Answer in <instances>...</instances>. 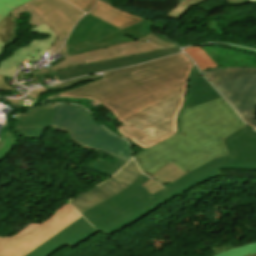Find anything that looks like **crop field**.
<instances>
[{
	"mask_svg": "<svg viewBox=\"0 0 256 256\" xmlns=\"http://www.w3.org/2000/svg\"><path fill=\"white\" fill-rule=\"evenodd\" d=\"M178 134L134 156L138 166L153 176L172 162L189 172L228 155L222 138L245 125L222 98L181 111Z\"/></svg>",
	"mask_w": 256,
	"mask_h": 256,
	"instance_id": "crop-field-1",
	"label": "crop field"
},
{
	"mask_svg": "<svg viewBox=\"0 0 256 256\" xmlns=\"http://www.w3.org/2000/svg\"><path fill=\"white\" fill-rule=\"evenodd\" d=\"M192 63L190 58L180 53L138 66L106 72V76L100 81L48 98H91L102 103L118 118L187 88V75Z\"/></svg>",
	"mask_w": 256,
	"mask_h": 256,
	"instance_id": "crop-field-2",
	"label": "crop field"
},
{
	"mask_svg": "<svg viewBox=\"0 0 256 256\" xmlns=\"http://www.w3.org/2000/svg\"><path fill=\"white\" fill-rule=\"evenodd\" d=\"M149 179L141 173L123 191L81 214L108 236L175 198L164 189L151 195L141 186Z\"/></svg>",
	"mask_w": 256,
	"mask_h": 256,
	"instance_id": "crop-field-3",
	"label": "crop field"
},
{
	"mask_svg": "<svg viewBox=\"0 0 256 256\" xmlns=\"http://www.w3.org/2000/svg\"><path fill=\"white\" fill-rule=\"evenodd\" d=\"M186 92L187 89L118 118L124 124L118 130L145 148L176 134L178 114Z\"/></svg>",
	"mask_w": 256,
	"mask_h": 256,
	"instance_id": "crop-field-4",
	"label": "crop field"
},
{
	"mask_svg": "<svg viewBox=\"0 0 256 256\" xmlns=\"http://www.w3.org/2000/svg\"><path fill=\"white\" fill-rule=\"evenodd\" d=\"M51 127L66 132L82 148L102 151L127 162L132 157L127 141L103 129L83 107L58 104Z\"/></svg>",
	"mask_w": 256,
	"mask_h": 256,
	"instance_id": "crop-field-5",
	"label": "crop field"
},
{
	"mask_svg": "<svg viewBox=\"0 0 256 256\" xmlns=\"http://www.w3.org/2000/svg\"><path fill=\"white\" fill-rule=\"evenodd\" d=\"M222 141L229 156L187 173L164 189L177 197L208 179L220 176L219 169H256V132L245 125Z\"/></svg>",
	"mask_w": 256,
	"mask_h": 256,
	"instance_id": "crop-field-6",
	"label": "crop field"
},
{
	"mask_svg": "<svg viewBox=\"0 0 256 256\" xmlns=\"http://www.w3.org/2000/svg\"><path fill=\"white\" fill-rule=\"evenodd\" d=\"M203 75L245 122L256 129V69L216 68Z\"/></svg>",
	"mask_w": 256,
	"mask_h": 256,
	"instance_id": "crop-field-7",
	"label": "crop field"
},
{
	"mask_svg": "<svg viewBox=\"0 0 256 256\" xmlns=\"http://www.w3.org/2000/svg\"><path fill=\"white\" fill-rule=\"evenodd\" d=\"M80 217L66 203L41 225L32 222L12 237H0V256H24Z\"/></svg>",
	"mask_w": 256,
	"mask_h": 256,
	"instance_id": "crop-field-8",
	"label": "crop field"
},
{
	"mask_svg": "<svg viewBox=\"0 0 256 256\" xmlns=\"http://www.w3.org/2000/svg\"><path fill=\"white\" fill-rule=\"evenodd\" d=\"M16 29L17 19L11 15L0 23V55H3L4 47L13 43L17 36L15 34ZM32 30L36 34L50 35V37L47 40L32 41L28 43V46L17 49L6 60H1L0 74L13 78V73L18 70L17 64L27 59L35 62L47 51L57 36L45 23L34 27Z\"/></svg>",
	"mask_w": 256,
	"mask_h": 256,
	"instance_id": "crop-field-9",
	"label": "crop field"
},
{
	"mask_svg": "<svg viewBox=\"0 0 256 256\" xmlns=\"http://www.w3.org/2000/svg\"><path fill=\"white\" fill-rule=\"evenodd\" d=\"M140 173L134 161L131 160L108 182L70 200V203L81 213L123 190Z\"/></svg>",
	"mask_w": 256,
	"mask_h": 256,
	"instance_id": "crop-field-10",
	"label": "crop field"
},
{
	"mask_svg": "<svg viewBox=\"0 0 256 256\" xmlns=\"http://www.w3.org/2000/svg\"><path fill=\"white\" fill-rule=\"evenodd\" d=\"M179 52H181L179 47L164 49V50L144 53L140 55H134V56L123 57V58H118L113 60L96 62L92 64L81 65L74 68H67V69L56 71L55 74L59 79V81L62 82L69 78L122 68V67L134 65L137 63L153 60L156 58L168 56V55L179 53Z\"/></svg>",
	"mask_w": 256,
	"mask_h": 256,
	"instance_id": "crop-field-11",
	"label": "crop field"
},
{
	"mask_svg": "<svg viewBox=\"0 0 256 256\" xmlns=\"http://www.w3.org/2000/svg\"><path fill=\"white\" fill-rule=\"evenodd\" d=\"M27 4L65 38L83 15L81 10L63 0H33Z\"/></svg>",
	"mask_w": 256,
	"mask_h": 256,
	"instance_id": "crop-field-12",
	"label": "crop field"
},
{
	"mask_svg": "<svg viewBox=\"0 0 256 256\" xmlns=\"http://www.w3.org/2000/svg\"><path fill=\"white\" fill-rule=\"evenodd\" d=\"M57 104L36 106L30 111L12 114L17 136L42 138L49 128Z\"/></svg>",
	"mask_w": 256,
	"mask_h": 256,
	"instance_id": "crop-field-13",
	"label": "crop field"
},
{
	"mask_svg": "<svg viewBox=\"0 0 256 256\" xmlns=\"http://www.w3.org/2000/svg\"><path fill=\"white\" fill-rule=\"evenodd\" d=\"M97 232L99 231L95 230L83 218H80L75 223L61 231L44 244L42 243L43 245H39L40 247L25 256H50L63 246L67 245L71 248Z\"/></svg>",
	"mask_w": 256,
	"mask_h": 256,
	"instance_id": "crop-field-14",
	"label": "crop field"
},
{
	"mask_svg": "<svg viewBox=\"0 0 256 256\" xmlns=\"http://www.w3.org/2000/svg\"><path fill=\"white\" fill-rule=\"evenodd\" d=\"M152 33V20H143L137 24L124 28L94 44L86 46L78 51H76L71 46L66 47L64 46L58 54L62 55L63 57L73 56L77 54H82L98 49H102L105 47L113 46L116 44L135 41L138 40L148 34Z\"/></svg>",
	"mask_w": 256,
	"mask_h": 256,
	"instance_id": "crop-field-15",
	"label": "crop field"
},
{
	"mask_svg": "<svg viewBox=\"0 0 256 256\" xmlns=\"http://www.w3.org/2000/svg\"><path fill=\"white\" fill-rule=\"evenodd\" d=\"M119 29L91 16L85 15L73 30L68 44L76 50L91 44Z\"/></svg>",
	"mask_w": 256,
	"mask_h": 256,
	"instance_id": "crop-field-16",
	"label": "crop field"
},
{
	"mask_svg": "<svg viewBox=\"0 0 256 256\" xmlns=\"http://www.w3.org/2000/svg\"><path fill=\"white\" fill-rule=\"evenodd\" d=\"M222 98L218 92L203 78L194 65L188 83V92L181 110Z\"/></svg>",
	"mask_w": 256,
	"mask_h": 256,
	"instance_id": "crop-field-17",
	"label": "crop field"
},
{
	"mask_svg": "<svg viewBox=\"0 0 256 256\" xmlns=\"http://www.w3.org/2000/svg\"><path fill=\"white\" fill-rule=\"evenodd\" d=\"M146 40L153 41V42H155V43H157V44H159V45H161L165 48L177 46L176 44L167 41L165 39L164 35H158V34H153L152 33L151 35H149V36H147V37H145V38H143L139 41L124 43V44L116 45V46L109 47V48H106V49H103V50H99V51H95V52H91V53H87V54H82V55H77V56L65 58L63 62L55 64L51 68L41 70V71H39L38 73H35V74L37 75V74H41V73L52 72V71H55V70L66 68V67H73V66L81 65V64H84L83 57L108 52V51H111V50H114V49L129 46V45L144 43V42H146Z\"/></svg>",
	"mask_w": 256,
	"mask_h": 256,
	"instance_id": "crop-field-18",
	"label": "crop field"
},
{
	"mask_svg": "<svg viewBox=\"0 0 256 256\" xmlns=\"http://www.w3.org/2000/svg\"><path fill=\"white\" fill-rule=\"evenodd\" d=\"M88 13L122 29L134 23H137L142 18L133 16L131 14L119 11L111 6H108L100 1L97 2L95 7Z\"/></svg>",
	"mask_w": 256,
	"mask_h": 256,
	"instance_id": "crop-field-19",
	"label": "crop field"
},
{
	"mask_svg": "<svg viewBox=\"0 0 256 256\" xmlns=\"http://www.w3.org/2000/svg\"><path fill=\"white\" fill-rule=\"evenodd\" d=\"M159 49H164V48L153 43V42H149V43H144V44L121 48V49L114 50V51L100 54V55L86 57V58H84V61L86 64V63H92V62H96V61H102V60H107V59H112V58H118V57L133 55V54H139V53L159 50Z\"/></svg>",
	"mask_w": 256,
	"mask_h": 256,
	"instance_id": "crop-field-20",
	"label": "crop field"
},
{
	"mask_svg": "<svg viewBox=\"0 0 256 256\" xmlns=\"http://www.w3.org/2000/svg\"><path fill=\"white\" fill-rule=\"evenodd\" d=\"M22 11H27L30 13V21L32 24H34L35 26L45 22L58 36L55 39V41L52 43V45L50 46L49 49L53 50V51H57L65 42V38L63 36H61L55 29H53L46 21H44L35 11H33L27 4L15 9L11 15H13L14 17H16L17 19L21 16V12Z\"/></svg>",
	"mask_w": 256,
	"mask_h": 256,
	"instance_id": "crop-field-21",
	"label": "crop field"
},
{
	"mask_svg": "<svg viewBox=\"0 0 256 256\" xmlns=\"http://www.w3.org/2000/svg\"><path fill=\"white\" fill-rule=\"evenodd\" d=\"M183 51L194 60L200 71L218 67L200 47H189Z\"/></svg>",
	"mask_w": 256,
	"mask_h": 256,
	"instance_id": "crop-field-22",
	"label": "crop field"
},
{
	"mask_svg": "<svg viewBox=\"0 0 256 256\" xmlns=\"http://www.w3.org/2000/svg\"><path fill=\"white\" fill-rule=\"evenodd\" d=\"M184 173L181 171L179 168H177L175 165L172 163L165 166L162 170H160L156 175H154L152 178L156 179L158 182L161 184L167 183V182H174L181 176H183ZM155 180V181H156Z\"/></svg>",
	"mask_w": 256,
	"mask_h": 256,
	"instance_id": "crop-field-23",
	"label": "crop field"
},
{
	"mask_svg": "<svg viewBox=\"0 0 256 256\" xmlns=\"http://www.w3.org/2000/svg\"><path fill=\"white\" fill-rule=\"evenodd\" d=\"M204 1L206 0H190L188 2L184 0L176 8H174L172 11L169 12L167 18L178 20L190 7ZM226 1L229 2L230 4H234V3L246 2L249 0H226Z\"/></svg>",
	"mask_w": 256,
	"mask_h": 256,
	"instance_id": "crop-field-24",
	"label": "crop field"
},
{
	"mask_svg": "<svg viewBox=\"0 0 256 256\" xmlns=\"http://www.w3.org/2000/svg\"><path fill=\"white\" fill-rule=\"evenodd\" d=\"M125 164H126V162H124L120 159L118 160V162L115 165H112L108 162L97 159L96 161H94L92 163L91 167L94 168L98 172H102L104 174L112 176L115 172H117Z\"/></svg>",
	"mask_w": 256,
	"mask_h": 256,
	"instance_id": "crop-field-25",
	"label": "crop field"
},
{
	"mask_svg": "<svg viewBox=\"0 0 256 256\" xmlns=\"http://www.w3.org/2000/svg\"><path fill=\"white\" fill-rule=\"evenodd\" d=\"M14 132L7 131L3 140L0 142V160H2L9 151L16 145Z\"/></svg>",
	"mask_w": 256,
	"mask_h": 256,
	"instance_id": "crop-field-26",
	"label": "crop field"
},
{
	"mask_svg": "<svg viewBox=\"0 0 256 256\" xmlns=\"http://www.w3.org/2000/svg\"><path fill=\"white\" fill-rule=\"evenodd\" d=\"M256 253V242L251 244L242 245L232 250L217 254L215 256H244L246 254Z\"/></svg>",
	"mask_w": 256,
	"mask_h": 256,
	"instance_id": "crop-field-27",
	"label": "crop field"
},
{
	"mask_svg": "<svg viewBox=\"0 0 256 256\" xmlns=\"http://www.w3.org/2000/svg\"><path fill=\"white\" fill-rule=\"evenodd\" d=\"M69 3L79 7L83 11L87 12L96 0H66Z\"/></svg>",
	"mask_w": 256,
	"mask_h": 256,
	"instance_id": "crop-field-28",
	"label": "crop field"
},
{
	"mask_svg": "<svg viewBox=\"0 0 256 256\" xmlns=\"http://www.w3.org/2000/svg\"><path fill=\"white\" fill-rule=\"evenodd\" d=\"M95 77H99V76L91 75V76L81 77V78L73 79V80H70V81H66L64 83H60V84L54 85L53 87H54L55 90H57V89L66 87L68 85H71V84H74V83H77V82H80V81H83V80L95 78Z\"/></svg>",
	"mask_w": 256,
	"mask_h": 256,
	"instance_id": "crop-field-29",
	"label": "crop field"
},
{
	"mask_svg": "<svg viewBox=\"0 0 256 256\" xmlns=\"http://www.w3.org/2000/svg\"><path fill=\"white\" fill-rule=\"evenodd\" d=\"M28 1L30 0H0V3L12 10Z\"/></svg>",
	"mask_w": 256,
	"mask_h": 256,
	"instance_id": "crop-field-30",
	"label": "crop field"
},
{
	"mask_svg": "<svg viewBox=\"0 0 256 256\" xmlns=\"http://www.w3.org/2000/svg\"><path fill=\"white\" fill-rule=\"evenodd\" d=\"M145 189H147L151 194L156 192L157 190L163 188L158 183L154 182L153 180L147 181L145 184L142 185Z\"/></svg>",
	"mask_w": 256,
	"mask_h": 256,
	"instance_id": "crop-field-31",
	"label": "crop field"
},
{
	"mask_svg": "<svg viewBox=\"0 0 256 256\" xmlns=\"http://www.w3.org/2000/svg\"><path fill=\"white\" fill-rule=\"evenodd\" d=\"M232 248H234V247H233L231 244H227V245H224V246H221V247H218V248H215V247L212 246V245L209 246V249L214 252L211 256H214V255L217 254V253H220V252H223V251L232 249Z\"/></svg>",
	"mask_w": 256,
	"mask_h": 256,
	"instance_id": "crop-field-32",
	"label": "crop field"
},
{
	"mask_svg": "<svg viewBox=\"0 0 256 256\" xmlns=\"http://www.w3.org/2000/svg\"><path fill=\"white\" fill-rule=\"evenodd\" d=\"M5 78H6L5 76L0 75V90L16 92L9 85L5 83Z\"/></svg>",
	"mask_w": 256,
	"mask_h": 256,
	"instance_id": "crop-field-33",
	"label": "crop field"
},
{
	"mask_svg": "<svg viewBox=\"0 0 256 256\" xmlns=\"http://www.w3.org/2000/svg\"><path fill=\"white\" fill-rule=\"evenodd\" d=\"M8 8L0 4V21L10 12Z\"/></svg>",
	"mask_w": 256,
	"mask_h": 256,
	"instance_id": "crop-field-34",
	"label": "crop field"
},
{
	"mask_svg": "<svg viewBox=\"0 0 256 256\" xmlns=\"http://www.w3.org/2000/svg\"><path fill=\"white\" fill-rule=\"evenodd\" d=\"M36 77H37V79H38L39 81H40V79L43 78V77H45L47 80L56 78L54 72H52V73H47V74H42V75H38V76H36Z\"/></svg>",
	"mask_w": 256,
	"mask_h": 256,
	"instance_id": "crop-field-35",
	"label": "crop field"
},
{
	"mask_svg": "<svg viewBox=\"0 0 256 256\" xmlns=\"http://www.w3.org/2000/svg\"><path fill=\"white\" fill-rule=\"evenodd\" d=\"M100 1H102V2H105V3L109 4L108 0H100ZM109 5H110V4H109Z\"/></svg>",
	"mask_w": 256,
	"mask_h": 256,
	"instance_id": "crop-field-36",
	"label": "crop field"
},
{
	"mask_svg": "<svg viewBox=\"0 0 256 256\" xmlns=\"http://www.w3.org/2000/svg\"><path fill=\"white\" fill-rule=\"evenodd\" d=\"M247 256H256V254H253V255H250V254H249V255H247Z\"/></svg>",
	"mask_w": 256,
	"mask_h": 256,
	"instance_id": "crop-field-37",
	"label": "crop field"
},
{
	"mask_svg": "<svg viewBox=\"0 0 256 256\" xmlns=\"http://www.w3.org/2000/svg\"><path fill=\"white\" fill-rule=\"evenodd\" d=\"M250 1H256V0H250Z\"/></svg>",
	"mask_w": 256,
	"mask_h": 256,
	"instance_id": "crop-field-38",
	"label": "crop field"
},
{
	"mask_svg": "<svg viewBox=\"0 0 256 256\" xmlns=\"http://www.w3.org/2000/svg\"><path fill=\"white\" fill-rule=\"evenodd\" d=\"M178 1H182V0H178Z\"/></svg>",
	"mask_w": 256,
	"mask_h": 256,
	"instance_id": "crop-field-39",
	"label": "crop field"
},
{
	"mask_svg": "<svg viewBox=\"0 0 256 256\" xmlns=\"http://www.w3.org/2000/svg\"><path fill=\"white\" fill-rule=\"evenodd\" d=\"M188 1V0H187Z\"/></svg>",
	"mask_w": 256,
	"mask_h": 256,
	"instance_id": "crop-field-40",
	"label": "crop field"
}]
</instances>
